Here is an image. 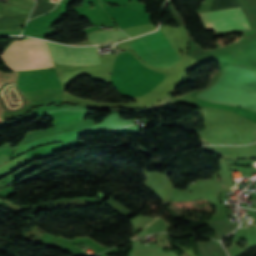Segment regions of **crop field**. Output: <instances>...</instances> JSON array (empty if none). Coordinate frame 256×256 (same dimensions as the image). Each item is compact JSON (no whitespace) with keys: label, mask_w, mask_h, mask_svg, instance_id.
Segmentation results:
<instances>
[{"label":"crop field","mask_w":256,"mask_h":256,"mask_svg":"<svg viewBox=\"0 0 256 256\" xmlns=\"http://www.w3.org/2000/svg\"><path fill=\"white\" fill-rule=\"evenodd\" d=\"M1 57L14 71L54 67L46 43L37 39L13 42Z\"/></svg>","instance_id":"1"},{"label":"crop field","mask_w":256,"mask_h":256,"mask_svg":"<svg viewBox=\"0 0 256 256\" xmlns=\"http://www.w3.org/2000/svg\"><path fill=\"white\" fill-rule=\"evenodd\" d=\"M131 45L140 57L154 66L169 68L178 59L177 54L159 30L140 37Z\"/></svg>","instance_id":"2"},{"label":"crop field","mask_w":256,"mask_h":256,"mask_svg":"<svg viewBox=\"0 0 256 256\" xmlns=\"http://www.w3.org/2000/svg\"><path fill=\"white\" fill-rule=\"evenodd\" d=\"M56 63L84 66L102 63L95 47L74 48L46 42Z\"/></svg>","instance_id":"3"},{"label":"crop field","mask_w":256,"mask_h":256,"mask_svg":"<svg viewBox=\"0 0 256 256\" xmlns=\"http://www.w3.org/2000/svg\"><path fill=\"white\" fill-rule=\"evenodd\" d=\"M201 22L221 21L246 17L240 8L198 14ZM206 30L238 31L251 28L246 18L203 24Z\"/></svg>","instance_id":"4"},{"label":"crop field","mask_w":256,"mask_h":256,"mask_svg":"<svg viewBox=\"0 0 256 256\" xmlns=\"http://www.w3.org/2000/svg\"><path fill=\"white\" fill-rule=\"evenodd\" d=\"M120 28H127L148 23L146 13L137 12L127 7H104Z\"/></svg>","instance_id":"5"},{"label":"crop field","mask_w":256,"mask_h":256,"mask_svg":"<svg viewBox=\"0 0 256 256\" xmlns=\"http://www.w3.org/2000/svg\"><path fill=\"white\" fill-rule=\"evenodd\" d=\"M91 44L111 43L123 37H127L122 31H104L88 35Z\"/></svg>","instance_id":"6"},{"label":"crop field","mask_w":256,"mask_h":256,"mask_svg":"<svg viewBox=\"0 0 256 256\" xmlns=\"http://www.w3.org/2000/svg\"><path fill=\"white\" fill-rule=\"evenodd\" d=\"M1 155H3V154L0 153V156H1Z\"/></svg>","instance_id":"7"}]
</instances>
